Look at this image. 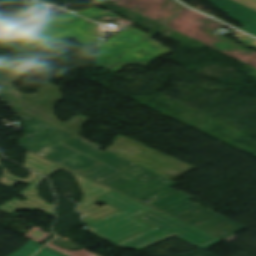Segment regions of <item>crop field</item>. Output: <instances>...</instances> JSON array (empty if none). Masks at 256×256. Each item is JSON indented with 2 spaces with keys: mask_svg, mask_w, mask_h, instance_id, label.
Wrapping results in <instances>:
<instances>
[{
  "mask_svg": "<svg viewBox=\"0 0 256 256\" xmlns=\"http://www.w3.org/2000/svg\"><path fill=\"white\" fill-rule=\"evenodd\" d=\"M55 165L56 164L28 152L24 166L43 174Z\"/></svg>",
  "mask_w": 256,
  "mask_h": 256,
  "instance_id": "crop-field-14",
  "label": "crop field"
},
{
  "mask_svg": "<svg viewBox=\"0 0 256 256\" xmlns=\"http://www.w3.org/2000/svg\"><path fill=\"white\" fill-rule=\"evenodd\" d=\"M59 169L72 174L77 179V182L83 191V198L80 201L81 206L79 210L83 212L85 215H87L84 218L85 223H88L100 216H103L115 210L107 205L100 207L95 204L98 201L95 200L94 198L101 196L111 190L103 185H100L90 179H87L79 174H76L70 170H67L59 165L55 166L54 168H52L51 170H49L43 175L47 177ZM92 184H96V185L93 186Z\"/></svg>",
  "mask_w": 256,
  "mask_h": 256,
  "instance_id": "crop-field-7",
  "label": "crop field"
},
{
  "mask_svg": "<svg viewBox=\"0 0 256 256\" xmlns=\"http://www.w3.org/2000/svg\"><path fill=\"white\" fill-rule=\"evenodd\" d=\"M100 12H103V10H100V9H98L96 7H93V8H90L88 10H85L83 12H76V13L81 15V16H83V17H86V16L94 15V14H97V13H100ZM102 16H108V17H113V18H117L118 17L117 15L106 11V13H103V14H100V15H96V16H93V17H89V18L93 20L95 18L102 17Z\"/></svg>",
  "mask_w": 256,
  "mask_h": 256,
  "instance_id": "crop-field-18",
  "label": "crop field"
},
{
  "mask_svg": "<svg viewBox=\"0 0 256 256\" xmlns=\"http://www.w3.org/2000/svg\"><path fill=\"white\" fill-rule=\"evenodd\" d=\"M25 236L41 243L45 238L49 237V234L42 231V229L34 226Z\"/></svg>",
  "mask_w": 256,
  "mask_h": 256,
  "instance_id": "crop-field-19",
  "label": "crop field"
},
{
  "mask_svg": "<svg viewBox=\"0 0 256 256\" xmlns=\"http://www.w3.org/2000/svg\"><path fill=\"white\" fill-rule=\"evenodd\" d=\"M43 245L34 242L30 240L27 242L23 247H21L19 250L11 253L8 256H30L36 251H38Z\"/></svg>",
  "mask_w": 256,
  "mask_h": 256,
  "instance_id": "crop-field-17",
  "label": "crop field"
},
{
  "mask_svg": "<svg viewBox=\"0 0 256 256\" xmlns=\"http://www.w3.org/2000/svg\"><path fill=\"white\" fill-rule=\"evenodd\" d=\"M26 74L27 72L22 69L9 74L10 81L3 91L13 95L23 111L79 136L83 124L88 120L81 116H77L74 119L63 123L55 117L54 105L62 100L58 93L60 87L47 82L36 95H23L12 86Z\"/></svg>",
  "mask_w": 256,
  "mask_h": 256,
  "instance_id": "crop-field-3",
  "label": "crop field"
},
{
  "mask_svg": "<svg viewBox=\"0 0 256 256\" xmlns=\"http://www.w3.org/2000/svg\"><path fill=\"white\" fill-rule=\"evenodd\" d=\"M52 151H54V150L50 149L49 147H45L44 149H42V151L39 154L44 156Z\"/></svg>",
  "mask_w": 256,
  "mask_h": 256,
  "instance_id": "crop-field-25",
  "label": "crop field"
},
{
  "mask_svg": "<svg viewBox=\"0 0 256 256\" xmlns=\"http://www.w3.org/2000/svg\"><path fill=\"white\" fill-rule=\"evenodd\" d=\"M26 7L29 8L27 12L8 25L15 27L17 29H20L24 32H27V31L67 22L70 20L82 18L67 12L54 19L44 14L42 12V8L44 7L36 3H30L26 5Z\"/></svg>",
  "mask_w": 256,
  "mask_h": 256,
  "instance_id": "crop-field-8",
  "label": "crop field"
},
{
  "mask_svg": "<svg viewBox=\"0 0 256 256\" xmlns=\"http://www.w3.org/2000/svg\"><path fill=\"white\" fill-rule=\"evenodd\" d=\"M107 150L170 179L194 169L175 158L165 157L122 136H119Z\"/></svg>",
  "mask_w": 256,
  "mask_h": 256,
  "instance_id": "crop-field-4",
  "label": "crop field"
},
{
  "mask_svg": "<svg viewBox=\"0 0 256 256\" xmlns=\"http://www.w3.org/2000/svg\"><path fill=\"white\" fill-rule=\"evenodd\" d=\"M150 225L115 210L88 223L87 232L111 243L143 230Z\"/></svg>",
  "mask_w": 256,
  "mask_h": 256,
  "instance_id": "crop-field-5",
  "label": "crop field"
},
{
  "mask_svg": "<svg viewBox=\"0 0 256 256\" xmlns=\"http://www.w3.org/2000/svg\"><path fill=\"white\" fill-rule=\"evenodd\" d=\"M96 199L133 217L153 209L114 190Z\"/></svg>",
  "mask_w": 256,
  "mask_h": 256,
  "instance_id": "crop-field-11",
  "label": "crop field"
},
{
  "mask_svg": "<svg viewBox=\"0 0 256 256\" xmlns=\"http://www.w3.org/2000/svg\"><path fill=\"white\" fill-rule=\"evenodd\" d=\"M34 256H65V255L44 246L43 249Z\"/></svg>",
  "mask_w": 256,
  "mask_h": 256,
  "instance_id": "crop-field-23",
  "label": "crop field"
},
{
  "mask_svg": "<svg viewBox=\"0 0 256 256\" xmlns=\"http://www.w3.org/2000/svg\"><path fill=\"white\" fill-rule=\"evenodd\" d=\"M17 48H20L34 56H36L37 49L46 41L32 36L28 33L1 39Z\"/></svg>",
  "mask_w": 256,
  "mask_h": 256,
  "instance_id": "crop-field-13",
  "label": "crop field"
},
{
  "mask_svg": "<svg viewBox=\"0 0 256 256\" xmlns=\"http://www.w3.org/2000/svg\"><path fill=\"white\" fill-rule=\"evenodd\" d=\"M94 21L98 22V23H104V22H113L115 24L121 25L123 27H126L128 25L133 26L131 23L121 19V18H117V19H112V18H108V17H102V18H98L95 19Z\"/></svg>",
  "mask_w": 256,
  "mask_h": 256,
  "instance_id": "crop-field-22",
  "label": "crop field"
},
{
  "mask_svg": "<svg viewBox=\"0 0 256 256\" xmlns=\"http://www.w3.org/2000/svg\"><path fill=\"white\" fill-rule=\"evenodd\" d=\"M138 219L202 249L221 241L157 210L142 215Z\"/></svg>",
  "mask_w": 256,
  "mask_h": 256,
  "instance_id": "crop-field-6",
  "label": "crop field"
},
{
  "mask_svg": "<svg viewBox=\"0 0 256 256\" xmlns=\"http://www.w3.org/2000/svg\"><path fill=\"white\" fill-rule=\"evenodd\" d=\"M16 69H18V68L14 67L12 65H9L0 60V89L8 82L7 74ZM0 97L2 98V102L9 104L11 106H14L18 109V107H17L16 103L14 102V100L12 99V97L5 94L1 90H0Z\"/></svg>",
  "mask_w": 256,
  "mask_h": 256,
  "instance_id": "crop-field-15",
  "label": "crop field"
},
{
  "mask_svg": "<svg viewBox=\"0 0 256 256\" xmlns=\"http://www.w3.org/2000/svg\"><path fill=\"white\" fill-rule=\"evenodd\" d=\"M170 236L171 235L165 232H162L154 227H151L145 231H142L136 235L124 239L114 245L120 248H131L135 250H141Z\"/></svg>",
  "mask_w": 256,
  "mask_h": 256,
  "instance_id": "crop-field-12",
  "label": "crop field"
},
{
  "mask_svg": "<svg viewBox=\"0 0 256 256\" xmlns=\"http://www.w3.org/2000/svg\"><path fill=\"white\" fill-rule=\"evenodd\" d=\"M46 178L40 176L37 180L30 184L28 188L22 191L19 195L28 198L27 200L21 202L16 199H12L5 204L0 206V209L12 213L17 210H28V209H40L44 212L52 214L54 206L46 203L44 199L39 197L37 188L38 185L44 181Z\"/></svg>",
  "mask_w": 256,
  "mask_h": 256,
  "instance_id": "crop-field-9",
  "label": "crop field"
},
{
  "mask_svg": "<svg viewBox=\"0 0 256 256\" xmlns=\"http://www.w3.org/2000/svg\"><path fill=\"white\" fill-rule=\"evenodd\" d=\"M217 8L226 11L229 16L247 26L242 30L256 36V11L233 0H209ZM238 22V23H239Z\"/></svg>",
  "mask_w": 256,
  "mask_h": 256,
  "instance_id": "crop-field-10",
  "label": "crop field"
},
{
  "mask_svg": "<svg viewBox=\"0 0 256 256\" xmlns=\"http://www.w3.org/2000/svg\"><path fill=\"white\" fill-rule=\"evenodd\" d=\"M96 24L83 19L51 28L29 32L52 44L60 43L63 39L75 37L84 47L102 44L95 64L111 71H118L129 64L146 65L159 55L171 53L151 40L155 34L150 35L133 27H126L102 42L94 37L92 29Z\"/></svg>",
  "mask_w": 256,
  "mask_h": 256,
  "instance_id": "crop-field-2",
  "label": "crop field"
},
{
  "mask_svg": "<svg viewBox=\"0 0 256 256\" xmlns=\"http://www.w3.org/2000/svg\"><path fill=\"white\" fill-rule=\"evenodd\" d=\"M0 168L4 171L3 176L0 178V182L10 186L14 185L18 181L30 184L31 182H33L35 179L39 177V175L31 172L30 177L27 178L26 180H23L9 174L2 165H0Z\"/></svg>",
  "mask_w": 256,
  "mask_h": 256,
  "instance_id": "crop-field-16",
  "label": "crop field"
},
{
  "mask_svg": "<svg viewBox=\"0 0 256 256\" xmlns=\"http://www.w3.org/2000/svg\"><path fill=\"white\" fill-rule=\"evenodd\" d=\"M7 107L12 108L14 113L24 118L26 136L20 142V147L36 155H38L37 153L45 146L53 147L52 149L56 151L43 158L76 173L99 163L78 152L99 160L103 162V164L80 174L141 202L159 194L150 199V202L143 203L157 208V210L221 240L245 228L188 201L192 198L171 188L179 183L111 152H100L78 137L63 143L78 151L76 152L60 144L62 141L73 137L72 135L33 118L9 105H7ZM120 176H122V178H120ZM129 178H131V180H129ZM222 233L225 234L223 235Z\"/></svg>",
  "mask_w": 256,
  "mask_h": 256,
  "instance_id": "crop-field-1",
  "label": "crop field"
},
{
  "mask_svg": "<svg viewBox=\"0 0 256 256\" xmlns=\"http://www.w3.org/2000/svg\"><path fill=\"white\" fill-rule=\"evenodd\" d=\"M235 1L256 10V0H235Z\"/></svg>",
  "mask_w": 256,
  "mask_h": 256,
  "instance_id": "crop-field-24",
  "label": "crop field"
},
{
  "mask_svg": "<svg viewBox=\"0 0 256 256\" xmlns=\"http://www.w3.org/2000/svg\"><path fill=\"white\" fill-rule=\"evenodd\" d=\"M20 33H24V32L17 30L15 28H12L6 24L0 25V38L16 35Z\"/></svg>",
  "mask_w": 256,
  "mask_h": 256,
  "instance_id": "crop-field-21",
  "label": "crop field"
},
{
  "mask_svg": "<svg viewBox=\"0 0 256 256\" xmlns=\"http://www.w3.org/2000/svg\"><path fill=\"white\" fill-rule=\"evenodd\" d=\"M46 246H48L54 250H57L63 254H66L68 256H98V255L92 254V253L84 251V250L83 251L66 252L65 250H63L55 245H52L50 243Z\"/></svg>",
  "mask_w": 256,
  "mask_h": 256,
  "instance_id": "crop-field-20",
  "label": "crop field"
}]
</instances>
